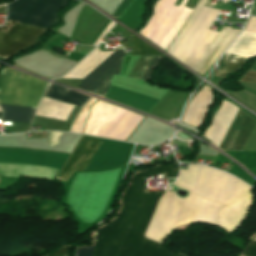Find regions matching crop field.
<instances>
[{"label":"crop field","mask_w":256,"mask_h":256,"mask_svg":"<svg viewBox=\"0 0 256 256\" xmlns=\"http://www.w3.org/2000/svg\"><path fill=\"white\" fill-rule=\"evenodd\" d=\"M241 256H256V253L244 251Z\"/></svg>","instance_id":"21"},{"label":"crop field","mask_w":256,"mask_h":256,"mask_svg":"<svg viewBox=\"0 0 256 256\" xmlns=\"http://www.w3.org/2000/svg\"><path fill=\"white\" fill-rule=\"evenodd\" d=\"M177 178L178 163L137 173L125 190L119 217L93 233L92 256H181L144 237L146 226L165 191L146 190V178Z\"/></svg>","instance_id":"2"},{"label":"crop field","mask_w":256,"mask_h":256,"mask_svg":"<svg viewBox=\"0 0 256 256\" xmlns=\"http://www.w3.org/2000/svg\"><path fill=\"white\" fill-rule=\"evenodd\" d=\"M240 81L256 84V73L248 71V73Z\"/></svg>","instance_id":"17"},{"label":"crop field","mask_w":256,"mask_h":256,"mask_svg":"<svg viewBox=\"0 0 256 256\" xmlns=\"http://www.w3.org/2000/svg\"><path fill=\"white\" fill-rule=\"evenodd\" d=\"M1 106L4 109L2 121L7 122L30 123L35 110L31 108Z\"/></svg>","instance_id":"12"},{"label":"crop field","mask_w":256,"mask_h":256,"mask_svg":"<svg viewBox=\"0 0 256 256\" xmlns=\"http://www.w3.org/2000/svg\"><path fill=\"white\" fill-rule=\"evenodd\" d=\"M5 12V6L0 7V13Z\"/></svg>","instance_id":"22"},{"label":"crop field","mask_w":256,"mask_h":256,"mask_svg":"<svg viewBox=\"0 0 256 256\" xmlns=\"http://www.w3.org/2000/svg\"><path fill=\"white\" fill-rule=\"evenodd\" d=\"M231 176L188 164L172 184L187 190L189 195L181 199L175 192L167 191L157 205L146 237L162 243L176 226L194 222L217 224L229 232L239 227L253 204L252 188Z\"/></svg>","instance_id":"1"},{"label":"crop field","mask_w":256,"mask_h":256,"mask_svg":"<svg viewBox=\"0 0 256 256\" xmlns=\"http://www.w3.org/2000/svg\"><path fill=\"white\" fill-rule=\"evenodd\" d=\"M131 146L130 144L102 140L85 170L123 164Z\"/></svg>","instance_id":"8"},{"label":"crop field","mask_w":256,"mask_h":256,"mask_svg":"<svg viewBox=\"0 0 256 256\" xmlns=\"http://www.w3.org/2000/svg\"><path fill=\"white\" fill-rule=\"evenodd\" d=\"M154 57L140 56L129 77L141 79Z\"/></svg>","instance_id":"14"},{"label":"crop field","mask_w":256,"mask_h":256,"mask_svg":"<svg viewBox=\"0 0 256 256\" xmlns=\"http://www.w3.org/2000/svg\"><path fill=\"white\" fill-rule=\"evenodd\" d=\"M25 76L6 69L0 92V103L20 105V93ZM45 86L46 82L36 80L27 75L21 93V105L37 107Z\"/></svg>","instance_id":"5"},{"label":"crop field","mask_w":256,"mask_h":256,"mask_svg":"<svg viewBox=\"0 0 256 256\" xmlns=\"http://www.w3.org/2000/svg\"><path fill=\"white\" fill-rule=\"evenodd\" d=\"M218 13V10L204 7L172 57L193 70L217 35L208 29Z\"/></svg>","instance_id":"4"},{"label":"crop field","mask_w":256,"mask_h":256,"mask_svg":"<svg viewBox=\"0 0 256 256\" xmlns=\"http://www.w3.org/2000/svg\"><path fill=\"white\" fill-rule=\"evenodd\" d=\"M45 97L73 104L79 107H81L89 99V97L85 95L53 85L51 83L48 84Z\"/></svg>","instance_id":"11"},{"label":"crop field","mask_w":256,"mask_h":256,"mask_svg":"<svg viewBox=\"0 0 256 256\" xmlns=\"http://www.w3.org/2000/svg\"><path fill=\"white\" fill-rule=\"evenodd\" d=\"M243 34L256 36V18L249 17L246 27L242 31ZM240 34L231 47L226 51L228 54L240 56L256 55V38ZM247 58L224 54L220 67L213 74L215 77L225 78L226 74H230L240 68Z\"/></svg>","instance_id":"6"},{"label":"crop field","mask_w":256,"mask_h":256,"mask_svg":"<svg viewBox=\"0 0 256 256\" xmlns=\"http://www.w3.org/2000/svg\"><path fill=\"white\" fill-rule=\"evenodd\" d=\"M70 247H64L49 256H66Z\"/></svg>","instance_id":"19"},{"label":"crop field","mask_w":256,"mask_h":256,"mask_svg":"<svg viewBox=\"0 0 256 256\" xmlns=\"http://www.w3.org/2000/svg\"><path fill=\"white\" fill-rule=\"evenodd\" d=\"M160 58L158 57H155V59L153 60V62L151 63V65L149 66L148 70L146 71V73L144 74V76L142 77V80L144 81H148L149 77H150V74H151V71H152V68L155 67L158 62H159Z\"/></svg>","instance_id":"16"},{"label":"crop field","mask_w":256,"mask_h":256,"mask_svg":"<svg viewBox=\"0 0 256 256\" xmlns=\"http://www.w3.org/2000/svg\"><path fill=\"white\" fill-rule=\"evenodd\" d=\"M132 36V45H133V55H139L140 53L143 54H150V55H159L155 50H153L151 47H149L147 44H145L143 41H141L139 38Z\"/></svg>","instance_id":"15"},{"label":"crop field","mask_w":256,"mask_h":256,"mask_svg":"<svg viewBox=\"0 0 256 256\" xmlns=\"http://www.w3.org/2000/svg\"><path fill=\"white\" fill-rule=\"evenodd\" d=\"M2 113H0V117H1Z\"/></svg>","instance_id":"23"},{"label":"crop field","mask_w":256,"mask_h":256,"mask_svg":"<svg viewBox=\"0 0 256 256\" xmlns=\"http://www.w3.org/2000/svg\"><path fill=\"white\" fill-rule=\"evenodd\" d=\"M206 2H207V0L200 1L197 8L195 10H193V12L187 19L186 23L184 24V26L182 27V29L180 30V32L178 33V35L176 36V38L174 39L173 43L171 44V46L169 47V49L167 50L166 53H168L169 55L172 56L175 49L177 48V46L179 45V43L181 42V40L183 39V37L185 36L187 31L189 30L190 26L192 25V23L194 22V20L196 19V17L202 10V8L205 6Z\"/></svg>","instance_id":"13"},{"label":"crop field","mask_w":256,"mask_h":256,"mask_svg":"<svg viewBox=\"0 0 256 256\" xmlns=\"http://www.w3.org/2000/svg\"><path fill=\"white\" fill-rule=\"evenodd\" d=\"M93 247H81L78 248L77 256H91V251Z\"/></svg>","instance_id":"18"},{"label":"crop field","mask_w":256,"mask_h":256,"mask_svg":"<svg viewBox=\"0 0 256 256\" xmlns=\"http://www.w3.org/2000/svg\"><path fill=\"white\" fill-rule=\"evenodd\" d=\"M245 250L256 252V242L255 241L250 242Z\"/></svg>","instance_id":"20"},{"label":"crop field","mask_w":256,"mask_h":256,"mask_svg":"<svg viewBox=\"0 0 256 256\" xmlns=\"http://www.w3.org/2000/svg\"><path fill=\"white\" fill-rule=\"evenodd\" d=\"M239 31L222 27L193 71L203 75L227 48Z\"/></svg>","instance_id":"9"},{"label":"crop field","mask_w":256,"mask_h":256,"mask_svg":"<svg viewBox=\"0 0 256 256\" xmlns=\"http://www.w3.org/2000/svg\"><path fill=\"white\" fill-rule=\"evenodd\" d=\"M124 56L125 53L123 50H116L82 80L78 89L104 97L109 88V81L112 74L119 75L120 65Z\"/></svg>","instance_id":"7"},{"label":"crop field","mask_w":256,"mask_h":256,"mask_svg":"<svg viewBox=\"0 0 256 256\" xmlns=\"http://www.w3.org/2000/svg\"><path fill=\"white\" fill-rule=\"evenodd\" d=\"M68 0H16L8 5L7 19L49 28L58 22L57 12ZM18 22L7 32H0V58L6 60L11 54L35 44L45 29Z\"/></svg>","instance_id":"3"},{"label":"crop field","mask_w":256,"mask_h":256,"mask_svg":"<svg viewBox=\"0 0 256 256\" xmlns=\"http://www.w3.org/2000/svg\"><path fill=\"white\" fill-rule=\"evenodd\" d=\"M256 121L239 111L222 146L223 150H241Z\"/></svg>","instance_id":"10"}]
</instances>
